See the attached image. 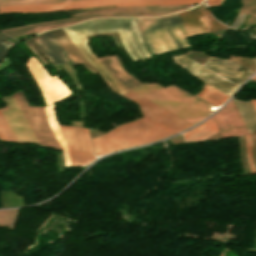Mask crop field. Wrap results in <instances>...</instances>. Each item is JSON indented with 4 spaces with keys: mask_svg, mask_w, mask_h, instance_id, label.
Instances as JSON below:
<instances>
[{
    "mask_svg": "<svg viewBox=\"0 0 256 256\" xmlns=\"http://www.w3.org/2000/svg\"><path fill=\"white\" fill-rule=\"evenodd\" d=\"M101 62L106 66V68L111 72L115 79L120 83V85L129 91L134 87L140 85L136 80L130 77L118 64L115 57L102 58Z\"/></svg>",
    "mask_w": 256,
    "mask_h": 256,
    "instance_id": "crop-field-16",
    "label": "crop field"
},
{
    "mask_svg": "<svg viewBox=\"0 0 256 256\" xmlns=\"http://www.w3.org/2000/svg\"><path fill=\"white\" fill-rule=\"evenodd\" d=\"M13 95L32 131L34 132L39 144L61 149L47 125L44 107L28 106L21 92H17Z\"/></svg>",
    "mask_w": 256,
    "mask_h": 256,
    "instance_id": "crop-field-9",
    "label": "crop field"
},
{
    "mask_svg": "<svg viewBox=\"0 0 256 256\" xmlns=\"http://www.w3.org/2000/svg\"><path fill=\"white\" fill-rule=\"evenodd\" d=\"M0 139L16 141L14 135L12 134L10 128L8 127L1 113H0Z\"/></svg>",
    "mask_w": 256,
    "mask_h": 256,
    "instance_id": "crop-field-23",
    "label": "crop field"
},
{
    "mask_svg": "<svg viewBox=\"0 0 256 256\" xmlns=\"http://www.w3.org/2000/svg\"><path fill=\"white\" fill-rule=\"evenodd\" d=\"M125 98L138 103L143 118L130 122L93 140L96 155L118 148L150 142L192 125L173 113L130 91Z\"/></svg>",
    "mask_w": 256,
    "mask_h": 256,
    "instance_id": "crop-field-1",
    "label": "crop field"
},
{
    "mask_svg": "<svg viewBox=\"0 0 256 256\" xmlns=\"http://www.w3.org/2000/svg\"><path fill=\"white\" fill-rule=\"evenodd\" d=\"M234 103L249 132L256 128V112L250 101L240 102L234 100Z\"/></svg>",
    "mask_w": 256,
    "mask_h": 256,
    "instance_id": "crop-field-18",
    "label": "crop field"
},
{
    "mask_svg": "<svg viewBox=\"0 0 256 256\" xmlns=\"http://www.w3.org/2000/svg\"><path fill=\"white\" fill-rule=\"evenodd\" d=\"M6 38L7 36L0 33V61L8 54L9 49L11 47L2 42Z\"/></svg>",
    "mask_w": 256,
    "mask_h": 256,
    "instance_id": "crop-field-26",
    "label": "crop field"
},
{
    "mask_svg": "<svg viewBox=\"0 0 256 256\" xmlns=\"http://www.w3.org/2000/svg\"><path fill=\"white\" fill-rule=\"evenodd\" d=\"M25 64L37 83L46 105L55 103L71 94L57 76L50 78L34 57H31Z\"/></svg>",
    "mask_w": 256,
    "mask_h": 256,
    "instance_id": "crop-field-8",
    "label": "crop field"
},
{
    "mask_svg": "<svg viewBox=\"0 0 256 256\" xmlns=\"http://www.w3.org/2000/svg\"><path fill=\"white\" fill-rule=\"evenodd\" d=\"M7 107L0 108L17 141L38 143L13 95L4 98Z\"/></svg>",
    "mask_w": 256,
    "mask_h": 256,
    "instance_id": "crop-field-12",
    "label": "crop field"
},
{
    "mask_svg": "<svg viewBox=\"0 0 256 256\" xmlns=\"http://www.w3.org/2000/svg\"><path fill=\"white\" fill-rule=\"evenodd\" d=\"M253 80H256V76L252 78Z\"/></svg>",
    "mask_w": 256,
    "mask_h": 256,
    "instance_id": "crop-field-31",
    "label": "crop field"
},
{
    "mask_svg": "<svg viewBox=\"0 0 256 256\" xmlns=\"http://www.w3.org/2000/svg\"><path fill=\"white\" fill-rule=\"evenodd\" d=\"M218 132L212 118L182 134L185 141H199Z\"/></svg>",
    "mask_w": 256,
    "mask_h": 256,
    "instance_id": "crop-field-17",
    "label": "crop field"
},
{
    "mask_svg": "<svg viewBox=\"0 0 256 256\" xmlns=\"http://www.w3.org/2000/svg\"><path fill=\"white\" fill-rule=\"evenodd\" d=\"M202 0H86L50 5L0 6V13L44 12L76 10L96 6H142L153 4L199 3Z\"/></svg>",
    "mask_w": 256,
    "mask_h": 256,
    "instance_id": "crop-field-6",
    "label": "crop field"
},
{
    "mask_svg": "<svg viewBox=\"0 0 256 256\" xmlns=\"http://www.w3.org/2000/svg\"><path fill=\"white\" fill-rule=\"evenodd\" d=\"M244 17H245V14L239 13L238 17L236 18L235 22L232 25V28L237 29V27L240 25Z\"/></svg>",
    "mask_w": 256,
    "mask_h": 256,
    "instance_id": "crop-field-28",
    "label": "crop field"
},
{
    "mask_svg": "<svg viewBox=\"0 0 256 256\" xmlns=\"http://www.w3.org/2000/svg\"><path fill=\"white\" fill-rule=\"evenodd\" d=\"M245 141H246L247 161H248L250 173H251V175H253V174H256V168L252 161L250 134L245 136Z\"/></svg>",
    "mask_w": 256,
    "mask_h": 256,
    "instance_id": "crop-field-24",
    "label": "crop field"
},
{
    "mask_svg": "<svg viewBox=\"0 0 256 256\" xmlns=\"http://www.w3.org/2000/svg\"><path fill=\"white\" fill-rule=\"evenodd\" d=\"M181 10H185V9H148V10H139V11H127V12L85 15V16L63 19V20H59V21L28 25V26L12 28V29H5V30H0V31H2L10 36H17V35H22V34L33 33V32H38V31L61 27V26L77 23L80 21H84L89 18H102V17H114V16H154V15H163V14H167V13H171V12H175V11H181ZM161 11H166V12L162 13V14L126 15V14H133V13L161 12Z\"/></svg>",
    "mask_w": 256,
    "mask_h": 256,
    "instance_id": "crop-field-7",
    "label": "crop field"
},
{
    "mask_svg": "<svg viewBox=\"0 0 256 256\" xmlns=\"http://www.w3.org/2000/svg\"><path fill=\"white\" fill-rule=\"evenodd\" d=\"M152 7H185V5H171V6H147V7H125V8H119V9H111V10H120V9H134V8H152ZM103 11H110V10H103ZM100 12V11H97ZM87 13H93V12H85L75 15H81V14H87ZM71 15V16H75Z\"/></svg>",
    "mask_w": 256,
    "mask_h": 256,
    "instance_id": "crop-field-27",
    "label": "crop field"
},
{
    "mask_svg": "<svg viewBox=\"0 0 256 256\" xmlns=\"http://www.w3.org/2000/svg\"><path fill=\"white\" fill-rule=\"evenodd\" d=\"M18 210L19 209L0 211V224L14 227Z\"/></svg>",
    "mask_w": 256,
    "mask_h": 256,
    "instance_id": "crop-field-22",
    "label": "crop field"
},
{
    "mask_svg": "<svg viewBox=\"0 0 256 256\" xmlns=\"http://www.w3.org/2000/svg\"><path fill=\"white\" fill-rule=\"evenodd\" d=\"M137 22L153 55L189 47L177 13L161 18H141Z\"/></svg>",
    "mask_w": 256,
    "mask_h": 256,
    "instance_id": "crop-field-3",
    "label": "crop field"
},
{
    "mask_svg": "<svg viewBox=\"0 0 256 256\" xmlns=\"http://www.w3.org/2000/svg\"><path fill=\"white\" fill-rule=\"evenodd\" d=\"M45 111H46V117H47L48 125H49L51 131L53 132L54 136L56 137V139L58 140L59 144L61 145V147L63 149L66 165H70L68 148H67V146L64 142V139L61 135V132H60L58 126H57L56 119H55V116H54L53 106L50 105V106L45 107Z\"/></svg>",
    "mask_w": 256,
    "mask_h": 256,
    "instance_id": "crop-field-19",
    "label": "crop field"
},
{
    "mask_svg": "<svg viewBox=\"0 0 256 256\" xmlns=\"http://www.w3.org/2000/svg\"><path fill=\"white\" fill-rule=\"evenodd\" d=\"M202 65L224 76L236 84H240L252 72L231 61L211 57Z\"/></svg>",
    "mask_w": 256,
    "mask_h": 256,
    "instance_id": "crop-field-15",
    "label": "crop field"
},
{
    "mask_svg": "<svg viewBox=\"0 0 256 256\" xmlns=\"http://www.w3.org/2000/svg\"><path fill=\"white\" fill-rule=\"evenodd\" d=\"M187 37L226 28L212 18L209 10L178 13Z\"/></svg>",
    "mask_w": 256,
    "mask_h": 256,
    "instance_id": "crop-field-13",
    "label": "crop field"
},
{
    "mask_svg": "<svg viewBox=\"0 0 256 256\" xmlns=\"http://www.w3.org/2000/svg\"><path fill=\"white\" fill-rule=\"evenodd\" d=\"M212 118L222 138L248 133L232 99Z\"/></svg>",
    "mask_w": 256,
    "mask_h": 256,
    "instance_id": "crop-field-14",
    "label": "crop field"
},
{
    "mask_svg": "<svg viewBox=\"0 0 256 256\" xmlns=\"http://www.w3.org/2000/svg\"><path fill=\"white\" fill-rule=\"evenodd\" d=\"M77 0H0V5L49 4Z\"/></svg>",
    "mask_w": 256,
    "mask_h": 256,
    "instance_id": "crop-field-21",
    "label": "crop field"
},
{
    "mask_svg": "<svg viewBox=\"0 0 256 256\" xmlns=\"http://www.w3.org/2000/svg\"><path fill=\"white\" fill-rule=\"evenodd\" d=\"M223 0H208V4L213 7H218L221 5Z\"/></svg>",
    "mask_w": 256,
    "mask_h": 256,
    "instance_id": "crop-field-29",
    "label": "crop field"
},
{
    "mask_svg": "<svg viewBox=\"0 0 256 256\" xmlns=\"http://www.w3.org/2000/svg\"><path fill=\"white\" fill-rule=\"evenodd\" d=\"M244 5L241 12L256 15V0H242Z\"/></svg>",
    "mask_w": 256,
    "mask_h": 256,
    "instance_id": "crop-field-25",
    "label": "crop field"
},
{
    "mask_svg": "<svg viewBox=\"0 0 256 256\" xmlns=\"http://www.w3.org/2000/svg\"><path fill=\"white\" fill-rule=\"evenodd\" d=\"M173 59L178 65L188 69L191 74L197 76L204 83L229 96L238 87V85L230 82L229 80L221 77L220 75L212 72L211 70L203 67L202 65L192 61L191 59L183 55L173 57Z\"/></svg>",
    "mask_w": 256,
    "mask_h": 256,
    "instance_id": "crop-field-11",
    "label": "crop field"
},
{
    "mask_svg": "<svg viewBox=\"0 0 256 256\" xmlns=\"http://www.w3.org/2000/svg\"><path fill=\"white\" fill-rule=\"evenodd\" d=\"M132 91L193 124L213 112L212 107L172 86L163 89L156 84L141 85Z\"/></svg>",
    "mask_w": 256,
    "mask_h": 256,
    "instance_id": "crop-field-4",
    "label": "crop field"
},
{
    "mask_svg": "<svg viewBox=\"0 0 256 256\" xmlns=\"http://www.w3.org/2000/svg\"><path fill=\"white\" fill-rule=\"evenodd\" d=\"M252 103H253V105H254V107L256 109V100H252Z\"/></svg>",
    "mask_w": 256,
    "mask_h": 256,
    "instance_id": "crop-field-30",
    "label": "crop field"
},
{
    "mask_svg": "<svg viewBox=\"0 0 256 256\" xmlns=\"http://www.w3.org/2000/svg\"><path fill=\"white\" fill-rule=\"evenodd\" d=\"M207 85H204L203 91L196 96H198L214 105L221 104L224 100H226L229 97V96H227V95H225Z\"/></svg>",
    "mask_w": 256,
    "mask_h": 256,
    "instance_id": "crop-field-20",
    "label": "crop field"
},
{
    "mask_svg": "<svg viewBox=\"0 0 256 256\" xmlns=\"http://www.w3.org/2000/svg\"><path fill=\"white\" fill-rule=\"evenodd\" d=\"M63 30L73 41L76 47L81 51V53L86 57V59L91 63V65L96 69V71L101 75V77L106 81V83L111 87V89L120 95L126 92L114 79L110 72L105 68V66L100 62V60L90 51L87 45L88 41L84 36L102 32H118L125 49L134 60H138V58L133 53L128 43V40L140 59H143L144 57H149V54L142 42L139 29L134 18L96 19L93 21L63 28ZM129 34L138 46L139 50L143 53L144 57L134 45ZM126 37L128 38V40Z\"/></svg>",
    "mask_w": 256,
    "mask_h": 256,
    "instance_id": "crop-field-2",
    "label": "crop field"
},
{
    "mask_svg": "<svg viewBox=\"0 0 256 256\" xmlns=\"http://www.w3.org/2000/svg\"><path fill=\"white\" fill-rule=\"evenodd\" d=\"M59 128L69 148L71 165H84L94 159L86 129L62 126Z\"/></svg>",
    "mask_w": 256,
    "mask_h": 256,
    "instance_id": "crop-field-10",
    "label": "crop field"
},
{
    "mask_svg": "<svg viewBox=\"0 0 256 256\" xmlns=\"http://www.w3.org/2000/svg\"><path fill=\"white\" fill-rule=\"evenodd\" d=\"M45 34L57 47L61 54H64L69 58L73 65L82 64L87 67L93 74L97 73L95 69L90 65V63L75 47V45L71 42V40L67 37V35L63 32L62 29ZM45 34L28 40L26 43L29 48L32 49L40 57L43 63L48 64V62L36 49L34 44L38 47L41 53L48 58L51 64H61L66 62L65 58L60 54V52L55 48V46L51 43V41L46 37Z\"/></svg>",
    "mask_w": 256,
    "mask_h": 256,
    "instance_id": "crop-field-5",
    "label": "crop field"
}]
</instances>
